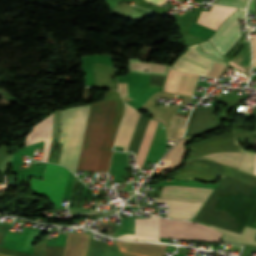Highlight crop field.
I'll return each instance as SVG.
<instances>
[{"label": "crop field", "instance_id": "crop-field-17", "mask_svg": "<svg viewBox=\"0 0 256 256\" xmlns=\"http://www.w3.org/2000/svg\"><path fill=\"white\" fill-rule=\"evenodd\" d=\"M129 71L165 75L168 66L162 64L146 63L142 60H128ZM144 68L148 72H144Z\"/></svg>", "mask_w": 256, "mask_h": 256}, {"label": "crop field", "instance_id": "crop-field-7", "mask_svg": "<svg viewBox=\"0 0 256 256\" xmlns=\"http://www.w3.org/2000/svg\"><path fill=\"white\" fill-rule=\"evenodd\" d=\"M244 13L245 10L239 8L229 18H227L215 34L208 39L217 47L222 55L230 49L241 35L238 19H244Z\"/></svg>", "mask_w": 256, "mask_h": 256}, {"label": "crop field", "instance_id": "crop-field-23", "mask_svg": "<svg viewBox=\"0 0 256 256\" xmlns=\"http://www.w3.org/2000/svg\"><path fill=\"white\" fill-rule=\"evenodd\" d=\"M43 232H44V231L30 228L22 249L25 250V251L29 250L30 247L32 246L33 242H34Z\"/></svg>", "mask_w": 256, "mask_h": 256}, {"label": "crop field", "instance_id": "crop-field-25", "mask_svg": "<svg viewBox=\"0 0 256 256\" xmlns=\"http://www.w3.org/2000/svg\"><path fill=\"white\" fill-rule=\"evenodd\" d=\"M200 46L203 51L225 61V59L219 54V52L215 49V47L212 44H210L208 41L200 43Z\"/></svg>", "mask_w": 256, "mask_h": 256}, {"label": "crop field", "instance_id": "crop-field-26", "mask_svg": "<svg viewBox=\"0 0 256 256\" xmlns=\"http://www.w3.org/2000/svg\"><path fill=\"white\" fill-rule=\"evenodd\" d=\"M64 247L46 246L45 256H62Z\"/></svg>", "mask_w": 256, "mask_h": 256}, {"label": "crop field", "instance_id": "crop-field-28", "mask_svg": "<svg viewBox=\"0 0 256 256\" xmlns=\"http://www.w3.org/2000/svg\"><path fill=\"white\" fill-rule=\"evenodd\" d=\"M165 76L150 75L149 86L162 87Z\"/></svg>", "mask_w": 256, "mask_h": 256}, {"label": "crop field", "instance_id": "crop-field-16", "mask_svg": "<svg viewBox=\"0 0 256 256\" xmlns=\"http://www.w3.org/2000/svg\"><path fill=\"white\" fill-rule=\"evenodd\" d=\"M212 227V226H210ZM222 233H224L223 238L224 240H228V241H232V242H236V243H250V244H256V242H254L255 238H256V229H251V228H247L245 227L242 234H236V233H232L223 229H219L216 227H212Z\"/></svg>", "mask_w": 256, "mask_h": 256}, {"label": "crop field", "instance_id": "crop-field-24", "mask_svg": "<svg viewBox=\"0 0 256 256\" xmlns=\"http://www.w3.org/2000/svg\"><path fill=\"white\" fill-rule=\"evenodd\" d=\"M236 134H237V136H240V142L243 143L244 150H246V145H245V138L246 137H248V146L254 147L252 134H251L250 131H244L242 129H236Z\"/></svg>", "mask_w": 256, "mask_h": 256}, {"label": "crop field", "instance_id": "crop-field-21", "mask_svg": "<svg viewBox=\"0 0 256 256\" xmlns=\"http://www.w3.org/2000/svg\"><path fill=\"white\" fill-rule=\"evenodd\" d=\"M185 117L174 115V117L171 120V124L167 128L168 131V139L177 142L184 131L185 123H186Z\"/></svg>", "mask_w": 256, "mask_h": 256}, {"label": "crop field", "instance_id": "crop-field-10", "mask_svg": "<svg viewBox=\"0 0 256 256\" xmlns=\"http://www.w3.org/2000/svg\"><path fill=\"white\" fill-rule=\"evenodd\" d=\"M53 113L34 125L32 131L27 134L25 146L44 140L45 147L41 161H47L52 134Z\"/></svg>", "mask_w": 256, "mask_h": 256}, {"label": "crop field", "instance_id": "crop-field-13", "mask_svg": "<svg viewBox=\"0 0 256 256\" xmlns=\"http://www.w3.org/2000/svg\"><path fill=\"white\" fill-rule=\"evenodd\" d=\"M235 10V8L213 5L210 12H201L196 23L207 28L216 30L221 22Z\"/></svg>", "mask_w": 256, "mask_h": 256}, {"label": "crop field", "instance_id": "crop-field-5", "mask_svg": "<svg viewBox=\"0 0 256 256\" xmlns=\"http://www.w3.org/2000/svg\"><path fill=\"white\" fill-rule=\"evenodd\" d=\"M191 152L187 162L203 155L222 151H239L243 152L241 146L237 144L235 131L223 135L209 137L198 143L189 146ZM186 162V163H187Z\"/></svg>", "mask_w": 256, "mask_h": 256}, {"label": "crop field", "instance_id": "crop-field-20", "mask_svg": "<svg viewBox=\"0 0 256 256\" xmlns=\"http://www.w3.org/2000/svg\"><path fill=\"white\" fill-rule=\"evenodd\" d=\"M186 140H181L174 148L168 152V156L163 158V161L169 162L162 173L172 171L175 166L181 161L184 154V143Z\"/></svg>", "mask_w": 256, "mask_h": 256}, {"label": "crop field", "instance_id": "crop-field-14", "mask_svg": "<svg viewBox=\"0 0 256 256\" xmlns=\"http://www.w3.org/2000/svg\"><path fill=\"white\" fill-rule=\"evenodd\" d=\"M172 177L212 181L217 177L224 178L225 175H222L217 172L209 171V170H204V169L195 168L191 166H185L183 170L177 172Z\"/></svg>", "mask_w": 256, "mask_h": 256}, {"label": "crop field", "instance_id": "crop-field-8", "mask_svg": "<svg viewBox=\"0 0 256 256\" xmlns=\"http://www.w3.org/2000/svg\"><path fill=\"white\" fill-rule=\"evenodd\" d=\"M214 111L215 107L195 108L187 125L184 138H191L218 127L219 122L214 116Z\"/></svg>", "mask_w": 256, "mask_h": 256}, {"label": "crop field", "instance_id": "crop-field-3", "mask_svg": "<svg viewBox=\"0 0 256 256\" xmlns=\"http://www.w3.org/2000/svg\"><path fill=\"white\" fill-rule=\"evenodd\" d=\"M67 177L68 170L47 163L42 181L31 177L29 188L32 193L47 197L51 204L61 206Z\"/></svg>", "mask_w": 256, "mask_h": 256}, {"label": "crop field", "instance_id": "crop-field-1", "mask_svg": "<svg viewBox=\"0 0 256 256\" xmlns=\"http://www.w3.org/2000/svg\"><path fill=\"white\" fill-rule=\"evenodd\" d=\"M123 109L122 99L91 104L77 169L107 172Z\"/></svg>", "mask_w": 256, "mask_h": 256}, {"label": "crop field", "instance_id": "crop-field-32", "mask_svg": "<svg viewBox=\"0 0 256 256\" xmlns=\"http://www.w3.org/2000/svg\"><path fill=\"white\" fill-rule=\"evenodd\" d=\"M252 44H253V56H254V63H253V65H254L256 63V37L252 40Z\"/></svg>", "mask_w": 256, "mask_h": 256}, {"label": "crop field", "instance_id": "crop-field-38", "mask_svg": "<svg viewBox=\"0 0 256 256\" xmlns=\"http://www.w3.org/2000/svg\"><path fill=\"white\" fill-rule=\"evenodd\" d=\"M254 67H256V64H255V66Z\"/></svg>", "mask_w": 256, "mask_h": 256}, {"label": "crop field", "instance_id": "crop-field-4", "mask_svg": "<svg viewBox=\"0 0 256 256\" xmlns=\"http://www.w3.org/2000/svg\"><path fill=\"white\" fill-rule=\"evenodd\" d=\"M160 237L219 242L221 234L203 224L160 219Z\"/></svg>", "mask_w": 256, "mask_h": 256}, {"label": "crop field", "instance_id": "crop-field-27", "mask_svg": "<svg viewBox=\"0 0 256 256\" xmlns=\"http://www.w3.org/2000/svg\"><path fill=\"white\" fill-rule=\"evenodd\" d=\"M247 2H248V0H218L217 4L237 6V7L245 8Z\"/></svg>", "mask_w": 256, "mask_h": 256}, {"label": "crop field", "instance_id": "crop-field-37", "mask_svg": "<svg viewBox=\"0 0 256 256\" xmlns=\"http://www.w3.org/2000/svg\"><path fill=\"white\" fill-rule=\"evenodd\" d=\"M255 174H256V165H255Z\"/></svg>", "mask_w": 256, "mask_h": 256}, {"label": "crop field", "instance_id": "crop-field-31", "mask_svg": "<svg viewBox=\"0 0 256 256\" xmlns=\"http://www.w3.org/2000/svg\"><path fill=\"white\" fill-rule=\"evenodd\" d=\"M104 97H120L117 91L109 90L104 93Z\"/></svg>", "mask_w": 256, "mask_h": 256}, {"label": "crop field", "instance_id": "crop-field-29", "mask_svg": "<svg viewBox=\"0 0 256 256\" xmlns=\"http://www.w3.org/2000/svg\"><path fill=\"white\" fill-rule=\"evenodd\" d=\"M46 240L34 247L33 256H44Z\"/></svg>", "mask_w": 256, "mask_h": 256}, {"label": "crop field", "instance_id": "crop-field-12", "mask_svg": "<svg viewBox=\"0 0 256 256\" xmlns=\"http://www.w3.org/2000/svg\"><path fill=\"white\" fill-rule=\"evenodd\" d=\"M155 202L167 203L169 208L168 218L190 220L198 212L203 203L162 200L156 199Z\"/></svg>", "mask_w": 256, "mask_h": 256}, {"label": "crop field", "instance_id": "crop-field-11", "mask_svg": "<svg viewBox=\"0 0 256 256\" xmlns=\"http://www.w3.org/2000/svg\"><path fill=\"white\" fill-rule=\"evenodd\" d=\"M118 238L158 241V218L151 215V219H135V235L125 234Z\"/></svg>", "mask_w": 256, "mask_h": 256}, {"label": "crop field", "instance_id": "crop-field-30", "mask_svg": "<svg viewBox=\"0 0 256 256\" xmlns=\"http://www.w3.org/2000/svg\"><path fill=\"white\" fill-rule=\"evenodd\" d=\"M0 252H4V253L11 254L14 256H32L30 254L18 253V252L10 251V250L3 249V248H0ZM4 253H0V256H10V255L4 254Z\"/></svg>", "mask_w": 256, "mask_h": 256}, {"label": "crop field", "instance_id": "crop-field-18", "mask_svg": "<svg viewBox=\"0 0 256 256\" xmlns=\"http://www.w3.org/2000/svg\"><path fill=\"white\" fill-rule=\"evenodd\" d=\"M242 154L243 153H239V152H222V153L204 155L199 158L224 163L233 168L238 169Z\"/></svg>", "mask_w": 256, "mask_h": 256}, {"label": "crop field", "instance_id": "crop-field-22", "mask_svg": "<svg viewBox=\"0 0 256 256\" xmlns=\"http://www.w3.org/2000/svg\"><path fill=\"white\" fill-rule=\"evenodd\" d=\"M149 120L150 119L144 117L143 115H140L136 130L128 151L134 152L135 154H137L138 148L142 141V138L147 128Z\"/></svg>", "mask_w": 256, "mask_h": 256}, {"label": "crop field", "instance_id": "crop-field-36", "mask_svg": "<svg viewBox=\"0 0 256 256\" xmlns=\"http://www.w3.org/2000/svg\"><path fill=\"white\" fill-rule=\"evenodd\" d=\"M120 253H121V256H134V255L126 254V253H123V252H120Z\"/></svg>", "mask_w": 256, "mask_h": 256}, {"label": "crop field", "instance_id": "crop-field-34", "mask_svg": "<svg viewBox=\"0 0 256 256\" xmlns=\"http://www.w3.org/2000/svg\"><path fill=\"white\" fill-rule=\"evenodd\" d=\"M147 1H151V2H153V3H155V4H158V5H160V4H162L164 1H166V0H147Z\"/></svg>", "mask_w": 256, "mask_h": 256}, {"label": "crop field", "instance_id": "crop-field-19", "mask_svg": "<svg viewBox=\"0 0 256 256\" xmlns=\"http://www.w3.org/2000/svg\"><path fill=\"white\" fill-rule=\"evenodd\" d=\"M157 123L158 122L155 121V120H152V119L150 120L148 128L146 130V133L144 135L143 141H142L141 146L139 148L138 154L136 156V160H137L140 168H142V165L144 163V160H145L147 151L149 149L154 131H155L156 126H157Z\"/></svg>", "mask_w": 256, "mask_h": 256}, {"label": "crop field", "instance_id": "crop-field-2", "mask_svg": "<svg viewBox=\"0 0 256 256\" xmlns=\"http://www.w3.org/2000/svg\"><path fill=\"white\" fill-rule=\"evenodd\" d=\"M89 106L84 105L63 110L60 141L63 143L59 164L68 167L74 174L78 163Z\"/></svg>", "mask_w": 256, "mask_h": 256}, {"label": "crop field", "instance_id": "crop-field-35", "mask_svg": "<svg viewBox=\"0 0 256 256\" xmlns=\"http://www.w3.org/2000/svg\"><path fill=\"white\" fill-rule=\"evenodd\" d=\"M251 116H254L256 118V109H254L251 113ZM253 132H256V131H253Z\"/></svg>", "mask_w": 256, "mask_h": 256}, {"label": "crop field", "instance_id": "crop-field-9", "mask_svg": "<svg viewBox=\"0 0 256 256\" xmlns=\"http://www.w3.org/2000/svg\"><path fill=\"white\" fill-rule=\"evenodd\" d=\"M212 191L213 189L208 188L166 185L160 198L205 202Z\"/></svg>", "mask_w": 256, "mask_h": 256}, {"label": "crop field", "instance_id": "crop-field-15", "mask_svg": "<svg viewBox=\"0 0 256 256\" xmlns=\"http://www.w3.org/2000/svg\"><path fill=\"white\" fill-rule=\"evenodd\" d=\"M87 256H119V251L115 245L109 247L105 242L90 238Z\"/></svg>", "mask_w": 256, "mask_h": 256}, {"label": "crop field", "instance_id": "crop-field-33", "mask_svg": "<svg viewBox=\"0 0 256 256\" xmlns=\"http://www.w3.org/2000/svg\"><path fill=\"white\" fill-rule=\"evenodd\" d=\"M248 9L255 10V0H251V1H250V5H249V8H248Z\"/></svg>", "mask_w": 256, "mask_h": 256}, {"label": "crop field", "instance_id": "crop-field-6", "mask_svg": "<svg viewBox=\"0 0 256 256\" xmlns=\"http://www.w3.org/2000/svg\"><path fill=\"white\" fill-rule=\"evenodd\" d=\"M215 61L226 66L224 61L204 53L197 44L191 46L187 53L176 61L173 68L182 72L206 75Z\"/></svg>", "mask_w": 256, "mask_h": 256}]
</instances>
